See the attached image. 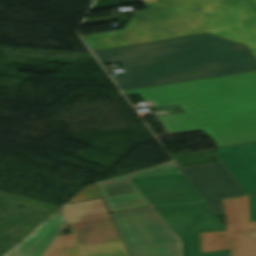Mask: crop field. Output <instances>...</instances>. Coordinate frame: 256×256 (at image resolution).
Returning a JSON list of instances; mask_svg holds the SVG:
<instances>
[{
    "mask_svg": "<svg viewBox=\"0 0 256 256\" xmlns=\"http://www.w3.org/2000/svg\"><path fill=\"white\" fill-rule=\"evenodd\" d=\"M146 92L158 107L182 108L159 116L170 134L204 129L218 147L256 141V72L124 91Z\"/></svg>",
    "mask_w": 256,
    "mask_h": 256,
    "instance_id": "crop-field-1",
    "label": "crop field"
},
{
    "mask_svg": "<svg viewBox=\"0 0 256 256\" xmlns=\"http://www.w3.org/2000/svg\"><path fill=\"white\" fill-rule=\"evenodd\" d=\"M102 65L123 62L122 90L256 70L243 45L202 34L96 51Z\"/></svg>",
    "mask_w": 256,
    "mask_h": 256,
    "instance_id": "crop-field-2",
    "label": "crop field"
},
{
    "mask_svg": "<svg viewBox=\"0 0 256 256\" xmlns=\"http://www.w3.org/2000/svg\"><path fill=\"white\" fill-rule=\"evenodd\" d=\"M125 30L85 36L93 51L207 32L245 44L256 58L254 0H142Z\"/></svg>",
    "mask_w": 256,
    "mask_h": 256,
    "instance_id": "crop-field-3",
    "label": "crop field"
},
{
    "mask_svg": "<svg viewBox=\"0 0 256 256\" xmlns=\"http://www.w3.org/2000/svg\"><path fill=\"white\" fill-rule=\"evenodd\" d=\"M63 210L73 234L59 236L46 256H128L102 199Z\"/></svg>",
    "mask_w": 256,
    "mask_h": 256,
    "instance_id": "crop-field-4",
    "label": "crop field"
},
{
    "mask_svg": "<svg viewBox=\"0 0 256 256\" xmlns=\"http://www.w3.org/2000/svg\"><path fill=\"white\" fill-rule=\"evenodd\" d=\"M111 216L130 256H179L178 241L151 207Z\"/></svg>",
    "mask_w": 256,
    "mask_h": 256,
    "instance_id": "crop-field-5",
    "label": "crop field"
},
{
    "mask_svg": "<svg viewBox=\"0 0 256 256\" xmlns=\"http://www.w3.org/2000/svg\"><path fill=\"white\" fill-rule=\"evenodd\" d=\"M222 203L227 231L199 233L201 252L230 249V256H256V222H249L248 196Z\"/></svg>",
    "mask_w": 256,
    "mask_h": 256,
    "instance_id": "crop-field-6",
    "label": "crop field"
},
{
    "mask_svg": "<svg viewBox=\"0 0 256 256\" xmlns=\"http://www.w3.org/2000/svg\"><path fill=\"white\" fill-rule=\"evenodd\" d=\"M153 208L173 234L226 230L205 202Z\"/></svg>",
    "mask_w": 256,
    "mask_h": 256,
    "instance_id": "crop-field-7",
    "label": "crop field"
},
{
    "mask_svg": "<svg viewBox=\"0 0 256 256\" xmlns=\"http://www.w3.org/2000/svg\"><path fill=\"white\" fill-rule=\"evenodd\" d=\"M150 206L203 201L185 175L132 180Z\"/></svg>",
    "mask_w": 256,
    "mask_h": 256,
    "instance_id": "crop-field-8",
    "label": "crop field"
},
{
    "mask_svg": "<svg viewBox=\"0 0 256 256\" xmlns=\"http://www.w3.org/2000/svg\"><path fill=\"white\" fill-rule=\"evenodd\" d=\"M181 169L204 201L244 195L221 162Z\"/></svg>",
    "mask_w": 256,
    "mask_h": 256,
    "instance_id": "crop-field-9",
    "label": "crop field"
},
{
    "mask_svg": "<svg viewBox=\"0 0 256 256\" xmlns=\"http://www.w3.org/2000/svg\"><path fill=\"white\" fill-rule=\"evenodd\" d=\"M216 155L245 195L256 194V142L218 148Z\"/></svg>",
    "mask_w": 256,
    "mask_h": 256,
    "instance_id": "crop-field-10",
    "label": "crop field"
},
{
    "mask_svg": "<svg viewBox=\"0 0 256 256\" xmlns=\"http://www.w3.org/2000/svg\"><path fill=\"white\" fill-rule=\"evenodd\" d=\"M179 173L182 172L173 162H171L106 181L98 182L97 184L105 201L109 202L142 196L129 179Z\"/></svg>",
    "mask_w": 256,
    "mask_h": 256,
    "instance_id": "crop-field-11",
    "label": "crop field"
},
{
    "mask_svg": "<svg viewBox=\"0 0 256 256\" xmlns=\"http://www.w3.org/2000/svg\"><path fill=\"white\" fill-rule=\"evenodd\" d=\"M64 223L59 210L5 256H42Z\"/></svg>",
    "mask_w": 256,
    "mask_h": 256,
    "instance_id": "crop-field-12",
    "label": "crop field"
},
{
    "mask_svg": "<svg viewBox=\"0 0 256 256\" xmlns=\"http://www.w3.org/2000/svg\"><path fill=\"white\" fill-rule=\"evenodd\" d=\"M182 241L183 256H228L226 251L201 254L198 233L179 235Z\"/></svg>",
    "mask_w": 256,
    "mask_h": 256,
    "instance_id": "crop-field-13",
    "label": "crop field"
},
{
    "mask_svg": "<svg viewBox=\"0 0 256 256\" xmlns=\"http://www.w3.org/2000/svg\"><path fill=\"white\" fill-rule=\"evenodd\" d=\"M107 205L111 212L149 206L143 197L109 202Z\"/></svg>",
    "mask_w": 256,
    "mask_h": 256,
    "instance_id": "crop-field-14",
    "label": "crop field"
},
{
    "mask_svg": "<svg viewBox=\"0 0 256 256\" xmlns=\"http://www.w3.org/2000/svg\"><path fill=\"white\" fill-rule=\"evenodd\" d=\"M102 197L96 184H92L85 189H83L80 193H78L74 198H72L69 202L72 201H80L86 199H93Z\"/></svg>",
    "mask_w": 256,
    "mask_h": 256,
    "instance_id": "crop-field-15",
    "label": "crop field"
},
{
    "mask_svg": "<svg viewBox=\"0 0 256 256\" xmlns=\"http://www.w3.org/2000/svg\"><path fill=\"white\" fill-rule=\"evenodd\" d=\"M250 221H256V195L249 196Z\"/></svg>",
    "mask_w": 256,
    "mask_h": 256,
    "instance_id": "crop-field-16",
    "label": "crop field"
},
{
    "mask_svg": "<svg viewBox=\"0 0 256 256\" xmlns=\"http://www.w3.org/2000/svg\"><path fill=\"white\" fill-rule=\"evenodd\" d=\"M215 215H223L221 200L207 202Z\"/></svg>",
    "mask_w": 256,
    "mask_h": 256,
    "instance_id": "crop-field-17",
    "label": "crop field"
},
{
    "mask_svg": "<svg viewBox=\"0 0 256 256\" xmlns=\"http://www.w3.org/2000/svg\"><path fill=\"white\" fill-rule=\"evenodd\" d=\"M115 19L114 15L111 16H105V17H97V18H89L86 19L84 24H91V23H97V22H103V21H109Z\"/></svg>",
    "mask_w": 256,
    "mask_h": 256,
    "instance_id": "crop-field-18",
    "label": "crop field"
},
{
    "mask_svg": "<svg viewBox=\"0 0 256 256\" xmlns=\"http://www.w3.org/2000/svg\"><path fill=\"white\" fill-rule=\"evenodd\" d=\"M256 1V0H255Z\"/></svg>",
    "mask_w": 256,
    "mask_h": 256,
    "instance_id": "crop-field-19",
    "label": "crop field"
}]
</instances>
